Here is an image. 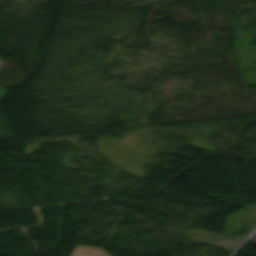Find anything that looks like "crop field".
Segmentation results:
<instances>
[{
	"label": "crop field",
	"mask_w": 256,
	"mask_h": 256,
	"mask_svg": "<svg viewBox=\"0 0 256 256\" xmlns=\"http://www.w3.org/2000/svg\"><path fill=\"white\" fill-rule=\"evenodd\" d=\"M71 256H109L102 249L97 247H85L76 245Z\"/></svg>",
	"instance_id": "obj_1"
}]
</instances>
